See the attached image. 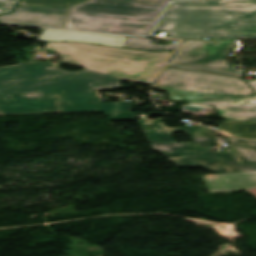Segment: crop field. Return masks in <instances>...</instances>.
<instances>
[{"label": "crop field", "instance_id": "obj_14", "mask_svg": "<svg viewBox=\"0 0 256 256\" xmlns=\"http://www.w3.org/2000/svg\"><path fill=\"white\" fill-rule=\"evenodd\" d=\"M109 120H136L134 112L105 113Z\"/></svg>", "mask_w": 256, "mask_h": 256}, {"label": "crop field", "instance_id": "obj_19", "mask_svg": "<svg viewBox=\"0 0 256 256\" xmlns=\"http://www.w3.org/2000/svg\"><path fill=\"white\" fill-rule=\"evenodd\" d=\"M209 176H214V175H209ZM202 177H208V176H202Z\"/></svg>", "mask_w": 256, "mask_h": 256}, {"label": "crop field", "instance_id": "obj_1", "mask_svg": "<svg viewBox=\"0 0 256 256\" xmlns=\"http://www.w3.org/2000/svg\"><path fill=\"white\" fill-rule=\"evenodd\" d=\"M68 72L46 62L0 68V114L134 111L132 101L100 103L92 90L122 86L119 78L154 83L171 52L150 53L83 43H46Z\"/></svg>", "mask_w": 256, "mask_h": 256}, {"label": "crop field", "instance_id": "obj_13", "mask_svg": "<svg viewBox=\"0 0 256 256\" xmlns=\"http://www.w3.org/2000/svg\"><path fill=\"white\" fill-rule=\"evenodd\" d=\"M84 0H21L19 5L68 8L69 6Z\"/></svg>", "mask_w": 256, "mask_h": 256}, {"label": "crop field", "instance_id": "obj_12", "mask_svg": "<svg viewBox=\"0 0 256 256\" xmlns=\"http://www.w3.org/2000/svg\"><path fill=\"white\" fill-rule=\"evenodd\" d=\"M218 128H221L239 137L256 138V123L246 124L244 122H225Z\"/></svg>", "mask_w": 256, "mask_h": 256}, {"label": "crop field", "instance_id": "obj_3", "mask_svg": "<svg viewBox=\"0 0 256 256\" xmlns=\"http://www.w3.org/2000/svg\"><path fill=\"white\" fill-rule=\"evenodd\" d=\"M158 28L177 38L256 39V0L172 3Z\"/></svg>", "mask_w": 256, "mask_h": 256}, {"label": "crop field", "instance_id": "obj_7", "mask_svg": "<svg viewBox=\"0 0 256 256\" xmlns=\"http://www.w3.org/2000/svg\"><path fill=\"white\" fill-rule=\"evenodd\" d=\"M66 10L17 6L13 14L0 16V23L61 28Z\"/></svg>", "mask_w": 256, "mask_h": 256}, {"label": "crop field", "instance_id": "obj_5", "mask_svg": "<svg viewBox=\"0 0 256 256\" xmlns=\"http://www.w3.org/2000/svg\"><path fill=\"white\" fill-rule=\"evenodd\" d=\"M155 90L166 91L171 102L255 95L242 79L171 69L164 70Z\"/></svg>", "mask_w": 256, "mask_h": 256}, {"label": "crop field", "instance_id": "obj_9", "mask_svg": "<svg viewBox=\"0 0 256 256\" xmlns=\"http://www.w3.org/2000/svg\"><path fill=\"white\" fill-rule=\"evenodd\" d=\"M202 179L209 193L247 190L256 196V171L220 174Z\"/></svg>", "mask_w": 256, "mask_h": 256}, {"label": "crop field", "instance_id": "obj_6", "mask_svg": "<svg viewBox=\"0 0 256 256\" xmlns=\"http://www.w3.org/2000/svg\"><path fill=\"white\" fill-rule=\"evenodd\" d=\"M237 47L235 41H184L170 63L244 73L225 60Z\"/></svg>", "mask_w": 256, "mask_h": 256}, {"label": "crop field", "instance_id": "obj_17", "mask_svg": "<svg viewBox=\"0 0 256 256\" xmlns=\"http://www.w3.org/2000/svg\"><path fill=\"white\" fill-rule=\"evenodd\" d=\"M216 131H218L220 134H223V135L234 136V135H232V134H230V133H228V132H225V131H223V130H220V129H218V130H216Z\"/></svg>", "mask_w": 256, "mask_h": 256}, {"label": "crop field", "instance_id": "obj_11", "mask_svg": "<svg viewBox=\"0 0 256 256\" xmlns=\"http://www.w3.org/2000/svg\"><path fill=\"white\" fill-rule=\"evenodd\" d=\"M151 42H152L151 39L128 37L124 47L151 50V51H162V50L173 51L180 44V41L177 42V44H167V45H156V44H151Z\"/></svg>", "mask_w": 256, "mask_h": 256}, {"label": "crop field", "instance_id": "obj_4", "mask_svg": "<svg viewBox=\"0 0 256 256\" xmlns=\"http://www.w3.org/2000/svg\"><path fill=\"white\" fill-rule=\"evenodd\" d=\"M168 0H90L70 8L64 28L147 35Z\"/></svg>", "mask_w": 256, "mask_h": 256}, {"label": "crop field", "instance_id": "obj_16", "mask_svg": "<svg viewBox=\"0 0 256 256\" xmlns=\"http://www.w3.org/2000/svg\"><path fill=\"white\" fill-rule=\"evenodd\" d=\"M170 68H178V69H186V70H194V71H202V72H210V73H217V74H224V75H231V76H238L242 77L241 74H233V73H225V72H218V71H211V70H204V69H196V68H189V67H182V66H174L168 65Z\"/></svg>", "mask_w": 256, "mask_h": 256}, {"label": "crop field", "instance_id": "obj_10", "mask_svg": "<svg viewBox=\"0 0 256 256\" xmlns=\"http://www.w3.org/2000/svg\"><path fill=\"white\" fill-rule=\"evenodd\" d=\"M126 36L76 33L44 29L38 41H83L123 47Z\"/></svg>", "mask_w": 256, "mask_h": 256}, {"label": "crop field", "instance_id": "obj_8", "mask_svg": "<svg viewBox=\"0 0 256 256\" xmlns=\"http://www.w3.org/2000/svg\"><path fill=\"white\" fill-rule=\"evenodd\" d=\"M251 87L256 88L255 81H246ZM256 99L254 96L206 99L187 101L188 104L208 106L215 105L220 116L228 120L256 121V102L247 104L245 100Z\"/></svg>", "mask_w": 256, "mask_h": 256}, {"label": "crop field", "instance_id": "obj_15", "mask_svg": "<svg viewBox=\"0 0 256 256\" xmlns=\"http://www.w3.org/2000/svg\"><path fill=\"white\" fill-rule=\"evenodd\" d=\"M19 0H0V15L9 13Z\"/></svg>", "mask_w": 256, "mask_h": 256}, {"label": "crop field", "instance_id": "obj_18", "mask_svg": "<svg viewBox=\"0 0 256 256\" xmlns=\"http://www.w3.org/2000/svg\"><path fill=\"white\" fill-rule=\"evenodd\" d=\"M253 89V88H252ZM255 92H256V89H253ZM256 100H252V101H247V103H250V102H255Z\"/></svg>", "mask_w": 256, "mask_h": 256}, {"label": "crop field", "instance_id": "obj_2", "mask_svg": "<svg viewBox=\"0 0 256 256\" xmlns=\"http://www.w3.org/2000/svg\"><path fill=\"white\" fill-rule=\"evenodd\" d=\"M153 150L177 167H202L214 174L256 170V141L228 138L229 151L215 152L208 146L216 143L213 131L202 126L165 127L161 120L138 121ZM184 132L191 143H177L171 134Z\"/></svg>", "mask_w": 256, "mask_h": 256}, {"label": "crop field", "instance_id": "obj_20", "mask_svg": "<svg viewBox=\"0 0 256 256\" xmlns=\"http://www.w3.org/2000/svg\"><path fill=\"white\" fill-rule=\"evenodd\" d=\"M157 31H160V30H157ZM160 32H162V31H160ZM171 38H174V37L171 36Z\"/></svg>", "mask_w": 256, "mask_h": 256}]
</instances>
